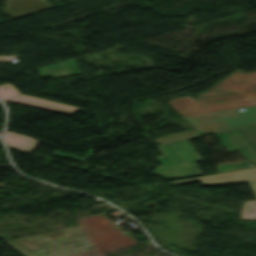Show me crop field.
Returning <instances> with one entry per match:
<instances>
[{
	"label": "crop field",
	"mask_w": 256,
	"mask_h": 256,
	"mask_svg": "<svg viewBox=\"0 0 256 256\" xmlns=\"http://www.w3.org/2000/svg\"><path fill=\"white\" fill-rule=\"evenodd\" d=\"M77 224L93 243L75 249L78 256H100L137 244L103 214L78 219ZM8 242L26 256H76L72 248L91 244L77 226ZM22 242H31L38 249L31 250Z\"/></svg>",
	"instance_id": "obj_1"
},
{
	"label": "crop field",
	"mask_w": 256,
	"mask_h": 256,
	"mask_svg": "<svg viewBox=\"0 0 256 256\" xmlns=\"http://www.w3.org/2000/svg\"><path fill=\"white\" fill-rule=\"evenodd\" d=\"M197 96L196 100L207 111L254 105L256 104V71L245 74L237 70L208 92ZM218 100L222 102H214ZM169 105L181 115L206 112L190 96L172 99Z\"/></svg>",
	"instance_id": "obj_2"
},
{
	"label": "crop field",
	"mask_w": 256,
	"mask_h": 256,
	"mask_svg": "<svg viewBox=\"0 0 256 256\" xmlns=\"http://www.w3.org/2000/svg\"><path fill=\"white\" fill-rule=\"evenodd\" d=\"M245 110L239 111L237 109ZM183 116L196 130L154 139L163 144L256 124V105Z\"/></svg>",
	"instance_id": "obj_3"
},
{
	"label": "crop field",
	"mask_w": 256,
	"mask_h": 256,
	"mask_svg": "<svg viewBox=\"0 0 256 256\" xmlns=\"http://www.w3.org/2000/svg\"><path fill=\"white\" fill-rule=\"evenodd\" d=\"M253 130L248 127L215 135L229 153L240 151L246 159L256 165V133Z\"/></svg>",
	"instance_id": "obj_4"
},
{
	"label": "crop field",
	"mask_w": 256,
	"mask_h": 256,
	"mask_svg": "<svg viewBox=\"0 0 256 256\" xmlns=\"http://www.w3.org/2000/svg\"><path fill=\"white\" fill-rule=\"evenodd\" d=\"M1 86V85H0ZM0 99L71 115L80 108L20 94L9 83L0 87Z\"/></svg>",
	"instance_id": "obj_5"
},
{
	"label": "crop field",
	"mask_w": 256,
	"mask_h": 256,
	"mask_svg": "<svg viewBox=\"0 0 256 256\" xmlns=\"http://www.w3.org/2000/svg\"><path fill=\"white\" fill-rule=\"evenodd\" d=\"M3 5L7 8L2 10L14 19L54 7L45 0H13Z\"/></svg>",
	"instance_id": "obj_6"
},
{
	"label": "crop field",
	"mask_w": 256,
	"mask_h": 256,
	"mask_svg": "<svg viewBox=\"0 0 256 256\" xmlns=\"http://www.w3.org/2000/svg\"><path fill=\"white\" fill-rule=\"evenodd\" d=\"M4 140L6 144H9L15 148H18L22 151H26L28 153L31 152L40 142L26 135L8 131H6L4 135Z\"/></svg>",
	"instance_id": "obj_7"
},
{
	"label": "crop field",
	"mask_w": 256,
	"mask_h": 256,
	"mask_svg": "<svg viewBox=\"0 0 256 256\" xmlns=\"http://www.w3.org/2000/svg\"><path fill=\"white\" fill-rule=\"evenodd\" d=\"M241 219H244V220L256 219V200L246 201L243 204Z\"/></svg>",
	"instance_id": "obj_8"
},
{
	"label": "crop field",
	"mask_w": 256,
	"mask_h": 256,
	"mask_svg": "<svg viewBox=\"0 0 256 256\" xmlns=\"http://www.w3.org/2000/svg\"><path fill=\"white\" fill-rule=\"evenodd\" d=\"M250 167H251L250 164L247 162H244V161L222 164V165L216 166L218 173L232 171V170H238V169H244V168H250Z\"/></svg>",
	"instance_id": "obj_9"
},
{
	"label": "crop field",
	"mask_w": 256,
	"mask_h": 256,
	"mask_svg": "<svg viewBox=\"0 0 256 256\" xmlns=\"http://www.w3.org/2000/svg\"><path fill=\"white\" fill-rule=\"evenodd\" d=\"M53 154H54V155H58V156H63V157L72 158V159L82 160V158L73 157V156H70V155H68V154L61 153V152H59V151H57V150H55Z\"/></svg>",
	"instance_id": "obj_10"
},
{
	"label": "crop field",
	"mask_w": 256,
	"mask_h": 256,
	"mask_svg": "<svg viewBox=\"0 0 256 256\" xmlns=\"http://www.w3.org/2000/svg\"><path fill=\"white\" fill-rule=\"evenodd\" d=\"M92 152H93V149H89L87 157L92 156ZM87 157H86V158H87Z\"/></svg>",
	"instance_id": "obj_11"
},
{
	"label": "crop field",
	"mask_w": 256,
	"mask_h": 256,
	"mask_svg": "<svg viewBox=\"0 0 256 256\" xmlns=\"http://www.w3.org/2000/svg\"><path fill=\"white\" fill-rule=\"evenodd\" d=\"M254 127H255V129H256V125H255ZM254 127H253V128H254Z\"/></svg>",
	"instance_id": "obj_12"
}]
</instances>
